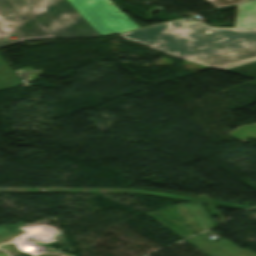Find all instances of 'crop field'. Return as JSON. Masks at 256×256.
<instances>
[{
	"label": "crop field",
	"mask_w": 256,
	"mask_h": 256,
	"mask_svg": "<svg viewBox=\"0 0 256 256\" xmlns=\"http://www.w3.org/2000/svg\"><path fill=\"white\" fill-rule=\"evenodd\" d=\"M171 56L225 70L256 62V29L210 28L177 20L125 34Z\"/></svg>",
	"instance_id": "1"
},
{
	"label": "crop field",
	"mask_w": 256,
	"mask_h": 256,
	"mask_svg": "<svg viewBox=\"0 0 256 256\" xmlns=\"http://www.w3.org/2000/svg\"><path fill=\"white\" fill-rule=\"evenodd\" d=\"M101 37L124 32L138 26L121 13L110 0H68Z\"/></svg>",
	"instance_id": "3"
},
{
	"label": "crop field",
	"mask_w": 256,
	"mask_h": 256,
	"mask_svg": "<svg viewBox=\"0 0 256 256\" xmlns=\"http://www.w3.org/2000/svg\"><path fill=\"white\" fill-rule=\"evenodd\" d=\"M256 27V0L239 5L236 28Z\"/></svg>",
	"instance_id": "5"
},
{
	"label": "crop field",
	"mask_w": 256,
	"mask_h": 256,
	"mask_svg": "<svg viewBox=\"0 0 256 256\" xmlns=\"http://www.w3.org/2000/svg\"><path fill=\"white\" fill-rule=\"evenodd\" d=\"M2 58V57H1ZM0 58V90L21 85L20 81Z\"/></svg>",
	"instance_id": "6"
},
{
	"label": "crop field",
	"mask_w": 256,
	"mask_h": 256,
	"mask_svg": "<svg viewBox=\"0 0 256 256\" xmlns=\"http://www.w3.org/2000/svg\"><path fill=\"white\" fill-rule=\"evenodd\" d=\"M207 1L210 2L212 5H214L215 7L219 8V7H223V6H227V5H231V4H235V3H239L247 0H207Z\"/></svg>",
	"instance_id": "7"
},
{
	"label": "crop field",
	"mask_w": 256,
	"mask_h": 256,
	"mask_svg": "<svg viewBox=\"0 0 256 256\" xmlns=\"http://www.w3.org/2000/svg\"><path fill=\"white\" fill-rule=\"evenodd\" d=\"M14 43H18V42H16V41L0 42V47L11 45V44H14Z\"/></svg>",
	"instance_id": "8"
},
{
	"label": "crop field",
	"mask_w": 256,
	"mask_h": 256,
	"mask_svg": "<svg viewBox=\"0 0 256 256\" xmlns=\"http://www.w3.org/2000/svg\"><path fill=\"white\" fill-rule=\"evenodd\" d=\"M186 241L209 256H256L255 253L247 249H242L226 239L215 243L206 236L200 234Z\"/></svg>",
	"instance_id": "4"
},
{
	"label": "crop field",
	"mask_w": 256,
	"mask_h": 256,
	"mask_svg": "<svg viewBox=\"0 0 256 256\" xmlns=\"http://www.w3.org/2000/svg\"><path fill=\"white\" fill-rule=\"evenodd\" d=\"M99 36L67 0H0V40Z\"/></svg>",
	"instance_id": "2"
}]
</instances>
